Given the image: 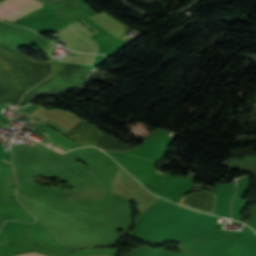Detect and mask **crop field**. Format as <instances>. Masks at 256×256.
<instances>
[{"label": "crop field", "mask_w": 256, "mask_h": 256, "mask_svg": "<svg viewBox=\"0 0 256 256\" xmlns=\"http://www.w3.org/2000/svg\"><path fill=\"white\" fill-rule=\"evenodd\" d=\"M34 0H5L0 4V17L5 18Z\"/></svg>", "instance_id": "obj_1"}, {"label": "crop field", "mask_w": 256, "mask_h": 256, "mask_svg": "<svg viewBox=\"0 0 256 256\" xmlns=\"http://www.w3.org/2000/svg\"><path fill=\"white\" fill-rule=\"evenodd\" d=\"M40 8H42V3L35 1L29 4L28 6L24 7L23 9L17 11L16 13L10 15L6 19L17 22Z\"/></svg>", "instance_id": "obj_2"}, {"label": "crop field", "mask_w": 256, "mask_h": 256, "mask_svg": "<svg viewBox=\"0 0 256 256\" xmlns=\"http://www.w3.org/2000/svg\"><path fill=\"white\" fill-rule=\"evenodd\" d=\"M18 256H44L36 253H28V254H23V255H18Z\"/></svg>", "instance_id": "obj_3"}, {"label": "crop field", "mask_w": 256, "mask_h": 256, "mask_svg": "<svg viewBox=\"0 0 256 256\" xmlns=\"http://www.w3.org/2000/svg\"><path fill=\"white\" fill-rule=\"evenodd\" d=\"M156 172H158V173H162V172H159V171H157V170H156ZM162 174H164V173H162Z\"/></svg>", "instance_id": "obj_4"}]
</instances>
